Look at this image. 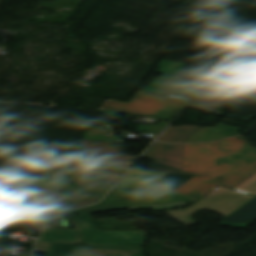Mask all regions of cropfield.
<instances>
[{"label":"crop field","mask_w":256,"mask_h":256,"mask_svg":"<svg viewBox=\"0 0 256 256\" xmlns=\"http://www.w3.org/2000/svg\"><path fill=\"white\" fill-rule=\"evenodd\" d=\"M256 150V149H255Z\"/></svg>","instance_id":"obj_20"},{"label":"crop field","mask_w":256,"mask_h":256,"mask_svg":"<svg viewBox=\"0 0 256 256\" xmlns=\"http://www.w3.org/2000/svg\"><path fill=\"white\" fill-rule=\"evenodd\" d=\"M39 178L0 167V182L31 187Z\"/></svg>","instance_id":"obj_15"},{"label":"crop field","mask_w":256,"mask_h":256,"mask_svg":"<svg viewBox=\"0 0 256 256\" xmlns=\"http://www.w3.org/2000/svg\"><path fill=\"white\" fill-rule=\"evenodd\" d=\"M199 128L198 126L191 125L168 127L157 140L164 142H185Z\"/></svg>","instance_id":"obj_14"},{"label":"crop field","mask_w":256,"mask_h":256,"mask_svg":"<svg viewBox=\"0 0 256 256\" xmlns=\"http://www.w3.org/2000/svg\"><path fill=\"white\" fill-rule=\"evenodd\" d=\"M185 66L184 63L162 61L158 67L160 70L155 72L163 75L155 79L144 91L191 100L208 82L174 78L181 74Z\"/></svg>","instance_id":"obj_5"},{"label":"crop field","mask_w":256,"mask_h":256,"mask_svg":"<svg viewBox=\"0 0 256 256\" xmlns=\"http://www.w3.org/2000/svg\"><path fill=\"white\" fill-rule=\"evenodd\" d=\"M237 128L218 123L215 127H201L186 142L211 141L236 134Z\"/></svg>","instance_id":"obj_13"},{"label":"crop field","mask_w":256,"mask_h":256,"mask_svg":"<svg viewBox=\"0 0 256 256\" xmlns=\"http://www.w3.org/2000/svg\"><path fill=\"white\" fill-rule=\"evenodd\" d=\"M74 244L51 243L45 256H69Z\"/></svg>","instance_id":"obj_17"},{"label":"crop field","mask_w":256,"mask_h":256,"mask_svg":"<svg viewBox=\"0 0 256 256\" xmlns=\"http://www.w3.org/2000/svg\"><path fill=\"white\" fill-rule=\"evenodd\" d=\"M187 204L180 201L175 203H167V204H159V205H150V206H140V207H132L129 208V210L132 209H144V208H151L153 211H164L168 209H174L179 207H185Z\"/></svg>","instance_id":"obj_18"},{"label":"crop field","mask_w":256,"mask_h":256,"mask_svg":"<svg viewBox=\"0 0 256 256\" xmlns=\"http://www.w3.org/2000/svg\"><path fill=\"white\" fill-rule=\"evenodd\" d=\"M183 144L155 142L142 156L151 160L149 170L180 172Z\"/></svg>","instance_id":"obj_7"},{"label":"crop field","mask_w":256,"mask_h":256,"mask_svg":"<svg viewBox=\"0 0 256 256\" xmlns=\"http://www.w3.org/2000/svg\"><path fill=\"white\" fill-rule=\"evenodd\" d=\"M216 185H218V183L214 182L209 177L194 176L175 191L196 200Z\"/></svg>","instance_id":"obj_12"},{"label":"crop field","mask_w":256,"mask_h":256,"mask_svg":"<svg viewBox=\"0 0 256 256\" xmlns=\"http://www.w3.org/2000/svg\"><path fill=\"white\" fill-rule=\"evenodd\" d=\"M167 174L129 171L124 178L96 205L67 212L68 215L101 212L131 206L150 205L191 199L157 183Z\"/></svg>","instance_id":"obj_2"},{"label":"crop field","mask_w":256,"mask_h":256,"mask_svg":"<svg viewBox=\"0 0 256 256\" xmlns=\"http://www.w3.org/2000/svg\"><path fill=\"white\" fill-rule=\"evenodd\" d=\"M254 221H256V197L218 223V225L245 229Z\"/></svg>","instance_id":"obj_11"},{"label":"crop field","mask_w":256,"mask_h":256,"mask_svg":"<svg viewBox=\"0 0 256 256\" xmlns=\"http://www.w3.org/2000/svg\"><path fill=\"white\" fill-rule=\"evenodd\" d=\"M82 140H123V138H117L109 124H106L84 132Z\"/></svg>","instance_id":"obj_16"},{"label":"crop field","mask_w":256,"mask_h":256,"mask_svg":"<svg viewBox=\"0 0 256 256\" xmlns=\"http://www.w3.org/2000/svg\"><path fill=\"white\" fill-rule=\"evenodd\" d=\"M87 160L135 161L138 157L126 156L122 141H81Z\"/></svg>","instance_id":"obj_8"},{"label":"crop field","mask_w":256,"mask_h":256,"mask_svg":"<svg viewBox=\"0 0 256 256\" xmlns=\"http://www.w3.org/2000/svg\"><path fill=\"white\" fill-rule=\"evenodd\" d=\"M256 171V151L241 136L184 144L181 172L208 175L231 188Z\"/></svg>","instance_id":"obj_1"},{"label":"crop field","mask_w":256,"mask_h":256,"mask_svg":"<svg viewBox=\"0 0 256 256\" xmlns=\"http://www.w3.org/2000/svg\"><path fill=\"white\" fill-rule=\"evenodd\" d=\"M168 125L167 122L159 121L156 125H139L138 131H162Z\"/></svg>","instance_id":"obj_19"},{"label":"crop field","mask_w":256,"mask_h":256,"mask_svg":"<svg viewBox=\"0 0 256 256\" xmlns=\"http://www.w3.org/2000/svg\"><path fill=\"white\" fill-rule=\"evenodd\" d=\"M140 247H107L76 245L71 256H142Z\"/></svg>","instance_id":"obj_9"},{"label":"crop field","mask_w":256,"mask_h":256,"mask_svg":"<svg viewBox=\"0 0 256 256\" xmlns=\"http://www.w3.org/2000/svg\"><path fill=\"white\" fill-rule=\"evenodd\" d=\"M234 189L256 196V174ZM235 190L220 186L188 209L165 211V213L185 225L194 223L190 219V215L200 208L210 209L227 217L254 197Z\"/></svg>","instance_id":"obj_4"},{"label":"crop field","mask_w":256,"mask_h":256,"mask_svg":"<svg viewBox=\"0 0 256 256\" xmlns=\"http://www.w3.org/2000/svg\"><path fill=\"white\" fill-rule=\"evenodd\" d=\"M86 244L142 246L146 231H101L88 214L69 216ZM51 242L83 244L75 229L49 227L36 244L35 252L46 253Z\"/></svg>","instance_id":"obj_3"},{"label":"crop field","mask_w":256,"mask_h":256,"mask_svg":"<svg viewBox=\"0 0 256 256\" xmlns=\"http://www.w3.org/2000/svg\"><path fill=\"white\" fill-rule=\"evenodd\" d=\"M227 103L228 99L221 90L207 86L189 106L219 113Z\"/></svg>","instance_id":"obj_10"},{"label":"crop field","mask_w":256,"mask_h":256,"mask_svg":"<svg viewBox=\"0 0 256 256\" xmlns=\"http://www.w3.org/2000/svg\"><path fill=\"white\" fill-rule=\"evenodd\" d=\"M189 101L138 92L128 103L106 100L101 108L131 114H178Z\"/></svg>","instance_id":"obj_6"}]
</instances>
